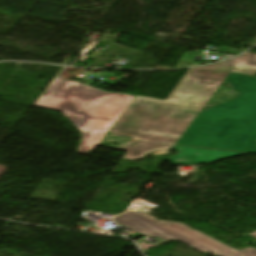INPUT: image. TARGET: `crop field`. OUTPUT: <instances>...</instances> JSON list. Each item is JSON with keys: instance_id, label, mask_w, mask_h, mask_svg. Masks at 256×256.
Here are the masks:
<instances>
[{"instance_id": "obj_2", "label": "crop field", "mask_w": 256, "mask_h": 256, "mask_svg": "<svg viewBox=\"0 0 256 256\" xmlns=\"http://www.w3.org/2000/svg\"><path fill=\"white\" fill-rule=\"evenodd\" d=\"M242 97L197 117L178 144L256 153V78L231 73Z\"/></svg>"}, {"instance_id": "obj_6", "label": "crop field", "mask_w": 256, "mask_h": 256, "mask_svg": "<svg viewBox=\"0 0 256 256\" xmlns=\"http://www.w3.org/2000/svg\"><path fill=\"white\" fill-rule=\"evenodd\" d=\"M231 86L233 87V89H235V90H236L235 84H231Z\"/></svg>"}, {"instance_id": "obj_7", "label": "crop field", "mask_w": 256, "mask_h": 256, "mask_svg": "<svg viewBox=\"0 0 256 256\" xmlns=\"http://www.w3.org/2000/svg\"><path fill=\"white\" fill-rule=\"evenodd\" d=\"M251 235L255 236L256 237V232L252 233Z\"/></svg>"}, {"instance_id": "obj_4", "label": "crop field", "mask_w": 256, "mask_h": 256, "mask_svg": "<svg viewBox=\"0 0 256 256\" xmlns=\"http://www.w3.org/2000/svg\"><path fill=\"white\" fill-rule=\"evenodd\" d=\"M116 222L144 236L159 237L165 242L178 240L200 252L217 256H256V249L250 247L238 252L181 223L157 221L141 212H128L115 218Z\"/></svg>"}, {"instance_id": "obj_3", "label": "crop field", "mask_w": 256, "mask_h": 256, "mask_svg": "<svg viewBox=\"0 0 256 256\" xmlns=\"http://www.w3.org/2000/svg\"><path fill=\"white\" fill-rule=\"evenodd\" d=\"M133 98L56 77L35 106L62 112L82 132L77 152L85 154L97 146Z\"/></svg>"}, {"instance_id": "obj_1", "label": "crop field", "mask_w": 256, "mask_h": 256, "mask_svg": "<svg viewBox=\"0 0 256 256\" xmlns=\"http://www.w3.org/2000/svg\"><path fill=\"white\" fill-rule=\"evenodd\" d=\"M230 72L254 75L256 55L245 53L230 61L192 69L169 101L136 96L110 132L133 137L122 149L124 159L172 149Z\"/></svg>"}, {"instance_id": "obj_5", "label": "crop field", "mask_w": 256, "mask_h": 256, "mask_svg": "<svg viewBox=\"0 0 256 256\" xmlns=\"http://www.w3.org/2000/svg\"><path fill=\"white\" fill-rule=\"evenodd\" d=\"M178 155L169 159L173 165H195L219 161L222 159L244 155L245 153L212 150L188 146H175Z\"/></svg>"}]
</instances>
